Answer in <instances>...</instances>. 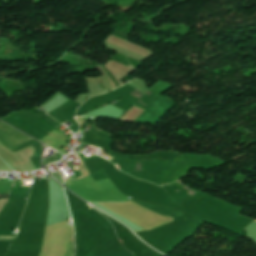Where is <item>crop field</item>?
Masks as SVG:
<instances>
[{
    "instance_id": "obj_1",
    "label": "crop field",
    "mask_w": 256,
    "mask_h": 256,
    "mask_svg": "<svg viewBox=\"0 0 256 256\" xmlns=\"http://www.w3.org/2000/svg\"><path fill=\"white\" fill-rule=\"evenodd\" d=\"M95 256H132L130 252H120V253H109L103 255H95Z\"/></svg>"
},
{
    "instance_id": "obj_2",
    "label": "crop field",
    "mask_w": 256,
    "mask_h": 256,
    "mask_svg": "<svg viewBox=\"0 0 256 256\" xmlns=\"http://www.w3.org/2000/svg\"><path fill=\"white\" fill-rule=\"evenodd\" d=\"M81 151H84L83 149H81L80 151H78V152H81Z\"/></svg>"
},
{
    "instance_id": "obj_3",
    "label": "crop field",
    "mask_w": 256,
    "mask_h": 256,
    "mask_svg": "<svg viewBox=\"0 0 256 256\" xmlns=\"http://www.w3.org/2000/svg\"><path fill=\"white\" fill-rule=\"evenodd\" d=\"M81 173V172H80ZM82 175V174H81ZM79 178H82V177H79ZM79 178H77V179H79Z\"/></svg>"
}]
</instances>
